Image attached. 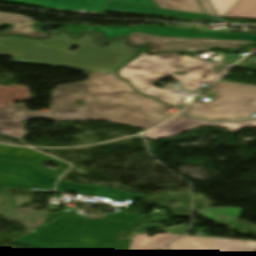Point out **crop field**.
Segmentation results:
<instances>
[{
    "label": "crop field",
    "mask_w": 256,
    "mask_h": 256,
    "mask_svg": "<svg viewBox=\"0 0 256 256\" xmlns=\"http://www.w3.org/2000/svg\"><path fill=\"white\" fill-rule=\"evenodd\" d=\"M0 160L2 161H10V162H19V163H29L32 164L56 177H60L64 171L70 167L65 163H62L58 160L50 158L46 155L38 153L29 148H20V147H12L6 145H0ZM46 160H51L55 163L62 165L57 172L49 170L42 166V162Z\"/></svg>",
    "instance_id": "crop-field-13"
},
{
    "label": "crop field",
    "mask_w": 256,
    "mask_h": 256,
    "mask_svg": "<svg viewBox=\"0 0 256 256\" xmlns=\"http://www.w3.org/2000/svg\"><path fill=\"white\" fill-rule=\"evenodd\" d=\"M65 10L103 11L108 0H4ZM159 8L151 0H115Z\"/></svg>",
    "instance_id": "crop-field-12"
},
{
    "label": "crop field",
    "mask_w": 256,
    "mask_h": 256,
    "mask_svg": "<svg viewBox=\"0 0 256 256\" xmlns=\"http://www.w3.org/2000/svg\"><path fill=\"white\" fill-rule=\"evenodd\" d=\"M208 90L214 100L205 104L192 103L187 113L209 120H238L256 113V86L219 81Z\"/></svg>",
    "instance_id": "crop-field-5"
},
{
    "label": "crop field",
    "mask_w": 256,
    "mask_h": 256,
    "mask_svg": "<svg viewBox=\"0 0 256 256\" xmlns=\"http://www.w3.org/2000/svg\"><path fill=\"white\" fill-rule=\"evenodd\" d=\"M201 2L203 4L204 8L206 9V11L208 12V14L215 16V14H214L213 10L211 9V7H210L209 3L207 2V0H201Z\"/></svg>",
    "instance_id": "crop-field-22"
},
{
    "label": "crop field",
    "mask_w": 256,
    "mask_h": 256,
    "mask_svg": "<svg viewBox=\"0 0 256 256\" xmlns=\"http://www.w3.org/2000/svg\"><path fill=\"white\" fill-rule=\"evenodd\" d=\"M130 43L133 45H141L143 43H157V48H152L150 52L168 51V50H183L189 52L205 51L212 46L234 49L245 44L252 43L251 41H228V40H203V39H180V38H165L147 34L134 32L127 36Z\"/></svg>",
    "instance_id": "crop-field-8"
},
{
    "label": "crop field",
    "mask_w": 256,
    "mask_h": 256,
    "mask_svg": "<svg viewBox=\"0 0 256 256\" xmlns=\"http://www.w3.org/2000/svg\"><path fill=\"white\" fill-rule=\"evenodd\" d=\"M221 224L238 218L241 209L236 207H217L209 210L196 211Z\"/></svg>",
    "instance_id": "crop-field-18"
},
{
    "label": "crop field",
    "mask_w": 256,
    "mask_h": 256,
    "mask_svg": "<svg viewBox=\"0 0 256 256\" xmlns=\"http://www.w3.org/2000/svg\"><path fill=\"white\" fill-rule=\"evenodd\" d=\"M57 191L64 190L89 195L105 196L115 200L133 199L138 197H144L136 194L124 193L115 188H104V187H91V186H79L66 182L59 181Z\"/></svg>",
    "instance_id": "crop-field-16"
},
{
    "label": "crop field",
    "mask_w": 256,
    "mask_h": 256,
    "mask_svg": "<svg viewBox=\"0 0 256 256\" xmlns=\"http://www.w3.org/2000/svg\"><path fill=\"white\" fill-rule=\"evenodd\" d=\"M49 111L29 112L25 104L0 107V134L19 138L29 132L25 131L20 120L44 117Z\"/></svg>",
    "instance_id": "crop-field-11"
},
{
    "label": "crop field",
    "mask_w": 256,
    "mask_h": 256,
    "mask_svg": "<svg viewBox=\"0 0 256 256\" xmlns=\"http://www.w3.org/2000/svg\"><path fill=\"white\" fill-rule=\"evenodd\" d=\"M73 45L80 49L68 51ZM0 55L13 56L17 63L116 73L133 56V47L86 33L76 40L52 36L48 42L0 36Z\"/></svg>",
    "instance_id": "crop-field-3"
},
{
    "label": "crop field",
    "mask_w": 256,
    "mask_h": 256,
    "mask_svg": "<svg viewBox=\"0 0 256 256\" xmlns=\"http://www.w3.org/2000/svg\"><path fill=\"white\" fill-rule=\"evenodd\" d=\"M134 31L147 34L181 37V38H203V39H228V40H256V34H224V33H202L196 30L176 29L161 26H124V27H93L92 32H104L103 38L112 40L117 36H127Z\"/></svg>",
    "instance_id": "crop-field-7"
},
{
    "label": "crop field",
    "mask_w": 256,
    "mask_h": 256,
    "mask_svg": "<svg viewBox=\"0 0 256 256\" xmlns=\"http://www.w3.org/2000/svg\"><path fill=\"white\" fill-rule=\"evenodd\" d=\"M56 181L33 166L0 162V185L51 191Z\"/></svg>",
    "instance_id": "crop-field-9"
},
{
    "label": "crop field",
    "mask_w": 256,
    "mask_h": 256,
    "mask_svg": "<svg viewBox=\"0 0 256 256\" xmlns=\"http://www.w3.org/2000/svg\"><path fill=\"white\" fill-rule=\"evenodd\" d=\"M69 256H92V255H86V254H81V253H74L72 255Z\"/></svg>",
    "instance_id": "crop-field-23"
},
{
    "label": "crop field",
    "mask_w": 256,
    "mask_h": 256,
    "mask_svg": "<svg viewBox=\"0 0 256 256\" xmlns=\"http://www.w3.org/2000/svg\"><path fill=\"white\" fill-rule=\"evenodd\" d=\"M176 234H155L154 237H148L147 234L136 235L131 243L127 256H153V248L167 250L165 244L180 237ZM167 245V244H166Z\"/></svg>",
    "instance_id": "crop-field-15"
},
{
    "label": "crop field",
    "mask_w": 256,
    "mask_h": 256,
    "mask_svg": "<svg viewBox=\"0 0 256 256\" xmlns=\"http://www.w3.org/2000/svg\"><path fill=\"white\" fill-rule=\"evenodd\" d=\"M201 125L214 126L227 128L231 132H237L243 127H256V120L238 122V123H214L200 120H193L180 114L164 124L158 126L154 130L144 134V137L149 138L153 141L162 138L165 139L169 136L181 134L188 130L194 129Z\"/></svg>",
    "instance_id": "crop-field-10"
},
{
    "label": "crop field",
    "mask_w": 256,
    "mask_h": 256,
    "mask_svg": "<svg viewBox=\"0 0 256 256\" xmlns=\"http://www.w3.org/2000/svg\"><path fill=\"white\" fill-rule=\"evenodd\" d=\"M169 249L174 256H256V242L183 237Z\"/></svg>",
    "instance_id": "crop-field-6"
},
{
    "label": "crop field",
    "mask_w": 256,
    "mask_h": 256,
    "mask_svg": "<svg viewBox=\"0 0 256 256\" xmlns=\"http://www.w3.org/2000/svg\"><path fill=\"white\" fill-rule=\"evenodd\" d=\"M178 53L158 54L150 56L143 54L119 71V75L131 82L138 91L156 97L160 100L177 106L181 96L172 94L175 89L160 90L152 84L166 76L174 77L184 85L180 90L194 93L201 84H210L214 79L223 74L229 66L219 73H214L215 65H222L188 56H178ZM175 71H187V75H173ZM208 76L202 79L201 76ZM148 86L147 90L143 88Z\"/></svg>",
    "instance_id": "crop-field-4"
},
{
    "label": "crop field",
    "mask_w": 256,
    "mask_h": 256,
    "mask_svg": "<svg viewBox=\"0 0 256 256\" xmlns=\"http://www.w3.org/2000/svg\"><path fill=\"white\" fill-rule=\"evenodd\" d=\"M238 0H210L219 16H223Z\"/></svg>",
    "instance_id": "crop-field-21"
},
{
    "label": "crop field",
    "mask_w": 256,
    "mask_h": 256,
    "mask_svg": "<svg viewBox=\"0 0 256 256\" xmlns=\"http://www.w3.org/2000/svg\"><path fill=\"white\" fill-rule=\"evenodd\" d=\"M160 8L175 9L205 14L198 0H152Z\"/></svg>",
    "instance_id": "crop-field-19"
},
{
    "label": "crop field",
    "mask_w": 256,
    "mask_h": 256,
    "mask_svg": "<svg viewBox=\"0 0 256 256\" xmlns=\"http://www.w3.org/2000/svg\"><path fill=\"white\" fill-rule=\"evenodd\" d=\"M67 99L69 102L65 101ZM77 100L85 105H75ZM166 107L137 94L115 74L95 72L84 83L67 84L54 90L50 114L44 118L55 121L102 119L148 130L172 116L164 113Z\"/></svg>",
    "instance_id": "crop-field-1"
},
{
    "label": "crop field",
    "mask_w": 256,
    "mask_h": 256,
    "mask_svg": "<svg viewBox=\"0 0 256 256\" xmlns=\"http://www.w3.org/2000/svg\"><path fill=\"white\" fill-rule=\"evenodd\" d=\"M105 11L125 12V13L138 14V15L159 16V17H169V18L178 17V18H187V19H198V20H218L217 17H212V16H204V15L174 12V11H167V10L154 9V8H146V7H140V6H135V5L121 3V2H114V1H109Z\"/></svg>",
    "instance_id": "crop-field-14"
},
{
    "label": "crop field",
    "mask_w": 256,
    "mask_h": 256,
    "mask_svg": "<svg viewBox=\"0 0 256 256\" xmlns=\"http://www.w3.org/2000/svg\"><path fill=\"white\" fill-rule=\"evenodd\" d=\"M141 212H112L85 218L75 208L49 212L33 232L13 240L39 249L27 256H63L76 251L126 256L131 240H116L125 228H136Z\"/></svg>",
    "instance_id": "crop-field-2"
},
{
    "label": "crop field",
    "mask_w": 256,
    "mask_h": 256,
    "mask_svg": "<svg viewBox=\"0 0 256 256\" xmlns=\"http://www.w3.org/2000/svg\"><path fill=\"white\" fill-rule=\"evenodd\" d=\"M224 17L256 19V0H239Z\"/></svg>",
    "instance_id": "crop-field-20"
},
{
    "label": "crop field",
    "mask_w": 256,
    "mask_h": 256,
    "mask_svg": "<svg viewBox=\"0 0 256 256\" xmlns=\"http://www.w3.org/2000/svg\"><path fill=\"white\" fill-rule=\"evenodd\" d=\"M0 23H10L14 26L5 34H22L31 37H45L46 33L36 31L33 28L34 20L17 14L1 13Z\"/></svg>",
    "instance_id": "crop-field-17"
}]
</instances>
